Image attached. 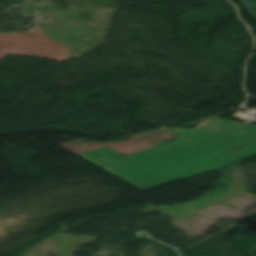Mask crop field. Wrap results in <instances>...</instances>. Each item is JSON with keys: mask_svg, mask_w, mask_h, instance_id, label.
Masks as SVG:
<instances>
[{"mask_svg": "<svg viewBox=\"0 0 256 256\" xmlns=\"http://www.w3.org/2000/svg\"><path fill=\"white\" fill-rule=\"evenodd\" d=\"M173 129L182 136L173 143L125 157L106 147L79 156L145 191L215 170L256 154V125L215 119L198 129Z\"/></svg>", "mask_w": 256, "mask_h": 256, "instance_id": "1", "label": "crop field"}, {"mask_svg": "<svg viewBox=\"0 0 256 256\" xmlns=\"http://www.w3.org/2000/svg\"><path fill=\"white\" fill-rule=\"evenodd\" d=\"M245 7L255 16L256 18V0H241Z\"/></svg>", "mask_w": 256, "mask_h": 256, "instance_id": "2", "label": "crop field"}]
</instances>
